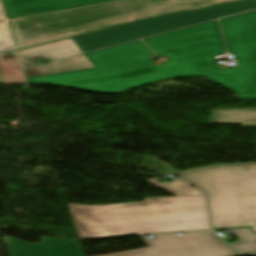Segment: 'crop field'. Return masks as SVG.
<instances>
[{"label":"crop field","mask_w":256,"mask_h":256,"mask_svg":"<svg viewBox=\"0 0 256 256\" xmlns=\"http://www.w3.org/2000/svg\"><path fill=\"white\" fill-rule=\"evenodd\" d=\"M227 50L238 68L218 70L214 55L226 54L216 21L142 40L169 63L156 66L154 53L139 40L86 53L96 68L28 79L103 93L177 77L204 75L237 93L256 99V11L220 20Z\"/></svg>","instance_id":"1"},{"label":"crop field","mask_w":256,"mask_h":256,"mask_svg":"<svg viewBox=\"0 0 256 256\" xmlns=\"http://www.w3.org/2000/svg\"><path fill=\"white\" fill-rule=\"evenodd\" d=\"M159 205L157 198L111 205L68 204L79 240L210 229L205 196Z\"/></svg>","instance_id":"2"},{"label":"crop field","mask_w":256,"mask_h":256,"mask_svg":"<svg viewBox=\"0 0 256 256\" xmlns=\"http://www.w3.org/2000/svg\"><path fill=\"white\" fill-rule=\"evenodd\" d=\"M159 1V0H158ZM123 0L10 20L17 49L115 26L141 18L235 0Z\"/></svg>","instance_id":"3"},{"label":"crop field","mask_w":256,"mask_h":256,"mask_svg":"<svg viewBox=\"0 0 256 256\" xmlns=\"http://www.w3.org/2000/svg\"><path fill=\"white\" fill-rule=\"evenodd\" d=\"M177 175L208 195L212 228L256 225V163L219 164Z\"/></svg>","instance_id":"4"},{"label":"crop field","mask_w":256,"mask_h":256,"mask_svg":"<svg viewBox=\"0 0 256 256\" xmlns=\"http://www.w3.org/2000/svg\"><path fill=\"white\" fill-rule=\"evenodd\" d=\"M254 8H256V0L233 2L210 8L158 16L74 37L73 39L82 51L86 52Z\"/></svg>","instance_id":"5"},{"label":"crop field","mask_w":256,"mask_h":256,"mask_svg":"<svg viewBox=\"0 0 256 256\" xmlns=\"http://www.w3.org/2000/svg\"><path fill=\"white\" fill-rule=\"evenodd\" d=\"M145 243L149 247L100 256H237L210 231L158 235Z\"/></svg>","instance_id":"6"},{"label":"crop field","mask_w":256,"mask_h":256,"mask_svg":"<svg viewBox=\"0 0 256 256\" xmlns=\"http://www.w3.org/2000/svg\"><path fill=\"white\" fill-rule=\"evenodd\" d=\"M11 256H83L78 239L40 238L39 244H28L3 237Z\"/></svg>","instance_id":"7"},{"label":"crop field","mask_w":256,"mask_h":256,"mask_svg":"<svg viewBox=\"0 0 256 256\" xmlns=\"http://www.w3.org/2000/svg\"><path fill=\"white\" fill-rule=\"evenodd\" d=\"M7 18L67 10L116 0H2Z\"/></svg>","instance_id":"8"},{"label":"crop field","mask_w":256,"mask_h":256,"mask_svg":"<svg viewBox=\"0 0 256 256\" xmlns=\"http://www.w3.org/2000/svg\"><path fill=\"white\" fill-rule=\"evenodd\" d=\"M24 67L34 66L31 58L44 55L50 61L83 53L72 38L21 50Z\"/></svg>","instance_id":"9"},{"label":"crop field","mask_w":256,"mask_h":256,"mask_svg":"<svg viewBox=\"0 0 256 256\" xmlns=\"http://www.w3.org/2000/svg\"><path fill=\"white\" fill-rule=\"evenodd\" d=\"M92 63L86 58L84 54L50 62L40 66H36V76H45L51 74H57L62 72H68L73 70L92 68Z\"/></svg>","instance_id":"10"},{"label":"crop field","mask_w":256,"mask_h":256,"mask_svg":"<svg viewBox=\"0 0 256 256\" xmlns=\"http://www.w3.org/2000/svg\"><path fill=\"white\" fill-rule=\"evenodd\" d=\"M209 124H241V127H256V111H211Z\"/></svg>","instance_id":"11"},{"label":"crop field","mask_w":256,"mask_h":256,"mask_svg":"<svg viewBox=\"0 0 256 256\" xmlns=\"http://www.w3.org/2000/svg\"><path fill=\"white\" fill-rule=\"evenodd\" d=\"M241 241L228 245L240 256L256 253V234L250 228L230 229Z\"/></svg>","instance_id":"12"},{"label":"crop field","mask_w":256,"mask_h":256,"mask_svg":"<svg viewBox=\"0 0 256 256\" xmlns=\"http://www.w3.org/2000/svg\"><path fill=\"white\" fill-rule=\"evenodd\" d=\"M148 183L163 189L175 196H193V195H204L195 188H190V185L187 184L182 179H173L172 182L160 183L158 178L148 179Z\"/></svg>","instance_id":"13"},{"label":"crop field","mask_w":256,"mask_h":256,"mask_svg":"<svg viewBox=\"0 0 256 256\" xmlns=\"http://www.w3.org/2000/svg\"><path fill=\"white\" fill-rule=\"evenodd\" d=\"M0 69L6 83L25 82L16 54L0 56Z\"/></svg>","instance_id":"14"},{"label":"crop field","mask_w":256,"mask_h":256,"mask_svg":"<svg viewBox=\"0 0 256 256\" xmlns=\"http://www.w3.org/2000/svg\"><path fill=\"white\" fill-rule=\"evenodd\" d=\"M14 50L5 18L0 8V52Z\"/></svg>","instance_id":"15"},{"label":"crop field","mask_w":256,"mask_h":256,"mask_svg":"<svg viewBox=\"0 0 256 256\" xmlns=\"http://www.w3.org/2000/svg\"><path fill=\"white\" fill-rule=\"evenodd\" d=\"M160 204L182 202L181 197L158 198Z\"/></svg>","instance_id":"16"},{"label":"crop field","mask_w":256,"mask_h":256,"mask_svg":"<svg viewBox=\"0 0 256 256\" xmlns=\"http://www.w3.org/2000/svg\"><path fill=\"white\" fill-rule=\"evenodd\" d=\"M25 72H26L27 78L36 77L35 72H34V68L25 69Z\"/></svg>","instance_id":"17"},{"label":"crop field","mask_w":256,"mask_h":256,"mask_svg":"<svg viewBox=\"0 0 256 256\" xmlns=\"http://www.w3.org/2000/svg\"><path fill=\"white\" fill-rule=\"evenodd\" d=\"M256 231V227H252Z\"/></svg>","instance_id":"18"}]
</instances>
